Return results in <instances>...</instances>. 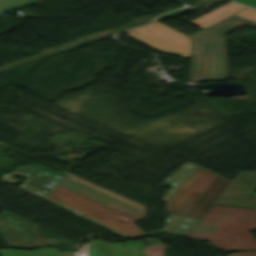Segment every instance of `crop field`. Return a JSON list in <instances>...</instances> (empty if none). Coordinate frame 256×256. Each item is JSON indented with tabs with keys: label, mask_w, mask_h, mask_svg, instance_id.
Returning a JSON list of instances; mask_svg holds the SVG:
<instances>
[{
	"label": "crop field",
	"mask_w": 256,
	"mask_h": 256,
	"mask_svg": "<svg viewBox=\"0 0 256 256\" xmlns=\"http://www.w3.org/2000/svg\"><path fill=\"white\" fill-rule=\"evenodd\" d=\"M14 174L28 178L19 189L60 207L123 238L144 236L132 224L143 208L69 174L35 164L21 166L1 180L13 184Z\"/></svg>",
	"instance_id": "1"
},
{
	"label": "crop field",
	"mask_w": 256,
	"mask_h": 256,
	"mask_svg": "<svg viewBox=\"0 0 256 256\" xmlns=\"http://www.w3.org/2000/svg\"><path fill=\"white\" fill-rule=\"evenodd\" d=\"M230 182L187 161L162 183L172 188L161 201L169 214L201 219Z\"/></svg>",
	"instance_id": "2"
},
{
	"label": "crop field",
	"mask_w": 256,
	"mask_h": 256,
	"mask_svg": "<svg viewBox=\"0 0 256 256\" xmlns=\"http://www.w3.org/2000/svg\"><path fill=\"white\" fill-rule=\"evenodd\" d=\"M255 229L256 210L212 206L188 237L226 252L256 251V240L248 233Z\"/></svg>",
	"instance_id": "3"
},
{
	"label": "crop field",
	"mask_w": 256,
	"mask_h": 256,
	"mask_svg": "<svg viewBox=\"0 0 256 256\" xmlns=\"http://www.w3.org/2000/svg\"><path fill=\"white\" fill-rule=\"evenodd\" d=\"M256 22L231 16L190 37L193 81L227 79L226 53L223 35L236 27Z\"/></svg>",
	"instance_id": "4"
},
{
	"label": "crop field",
	"mask_w": 256,
	"mask_h": 256,
	"mask_svg": "<svg viewBox=\"0 0 256 256\" xmlns=\"http://www.w3.org/2000/svg\"><path fill=\"white\" fill-rule=\"evenodd\" d=\"M128 35L160 51L182 57L190 56L189 38L155 21L130 30Z\"/></svg>",
	"instance_id": "5"
},
{
	"label": "crop field",
	"mask_w": 256,
	"mask_h": 256,
	"mask_svg": "<svg viewBox=\"0 0 256 256\" xmlns=\"http://www.w3.org/2000/svg\"><path fill=\"white\" fill-rule=\"evenodd\" d=\"M256 172L239 173L213 205L256 209Z\"/></svg>",
	"instance_id": "6"
},
{
	"label": "crop field",
	"mask_w": 256,
	"mask_h": 256,
	"mask_svg": "<svg viewBox=\"0 0 256 256\" xmlns=\"http://www.w3.org/2000/svg\"><path fill=\"white\" fill-rule=\"evenodd\" d=\"M18 216L5 211L0 215V232L8 246L38 248L47 245H62L65 239L31 238L20 226Z\"/></svg>",
	"instance_id": "7"
},
{
	"label": "crop field",
	"mask_w": 256,
	"mask_h": 256,
	"mask_svg": "<svg viewBox=\"0 0 256 256\" xmlns=\"http://www.w3.org/2000/svg\"><path fill=\"white\" fill-rule=\"evenodd\" d=\"M88 256H146L142 242L107 244L103 243L97 247H89Z\"/></svg>",
	"instance_id": "8"
},
{
	"label": "crop field",
	"mask_w": 256,
	"mask_h": 256,
	"mask_svg": "<svg viewBox=\"0 0 256 256\" xmlns=\"http://www.w3.org/2000/svg\"><path fill=\"white\" fill-rule=\"evenodd\" d=\"M244 8L245 7L230 3L190 23L204 29Z\"/></svg>",
	"instance_id": "9"
},
{
	"label": "crop field",
	"mask_w": 256,
	"mask_h": 256,
	"mask_svg": "<svg viewBox=\"0 0 256 256\" xmlns=\"http://www.w3.org/2000/svg\"><path fill=\"white\" fill-rule=\"evenodd\" d=\"M1 256H74L75 250L69 252H60L55 247H48L40 250H22V249H0Z\"/></svg>",
	"instance_id": "10"
},
{
	"label": "crop field",
	"mask_w": 256,
	"mask_h": 256,
	"mask_svg": "<svg viewBox=\"0 0 256 256\" xmlns=\"http://www.w3.org/2000/svg\"><path fill=\"white\" fill-rule=\"evenodd\" d=\"M178 218L179 216H173V215L167 216V218L165 219L167 224L160 231L167 232ZM197 221H198L197 219L181 217L169 232L187 235L188 232L197 223Z\"/></svg>",
	"instance_id": "11"
},
{
	"label": "crop field",
	"mask_w": 256,
	"mask_h": 256,
	"mask_svg": "<svg viewBox=\"0 0 256 256\" xmlns=\"http://www.w3.org/2000/svg\"><path fill=\"white\" fill-rule=\"evenodd\" d=\"M39 1L41 0H0V14L10 9H13L22 5L39 2Z\"/></svg>",
	"instance_id": "12"
},
{
	"label": "crop field",
	"mask_w": 256,
	"mask_h": 256,
	"mask_svg": "<svg viewBox=\"0 0 256 256\" xmlns=\"http://www.w3.org/2000/svg\"><path fill=\"white\" fill-rule=\"evenodd\" d=\"M235 15L256 21V11L248 9V8L236 13Z\"/></svg>",
	"instance_id": "13"
},
{
	"label": "crop field",
	"mask_w": 256,
	"mask_h": 256,
	"mask_svg": "<svg viewBox=\"0 0 256 256\" xmlns=\"http://www.w3.org/2000/svg\"><path fill=\"white\" fill-rule=\"evenodd\" d=\"M256 8V0H232Z\"/></svg>",
	"instance_id": "14"
},
{
	"label": "crop field",
	"mask_w": 256,
	"mask_h": 256,
	"mask_svg": "<svg viewBox=\"0 0 256 256\" xmlns=\"http://www.w3.org/2000/svg\"><path fill=\"white\" fill-rule=\"evenodd\" d=\"M228 256H256V252H251V253H231Z\"/></svg>",
	"instance_id": "15"
},
{
	"label": "crop field",
	"mask_w": 256,
	"mask_h": 256,
	"mask_svg": "<svg viewBox=\"0 0 256 256\" xmlns=\"http://www.w3.org/2000/svg\"><path fill=\"white\" fill-rule=\"evenodd\" d=\"M88 245L89 243H86L85 245H83L81 248V253L77 256H87Z\"/></svg>",
	"instance_id": "16"
}]
</instances>
